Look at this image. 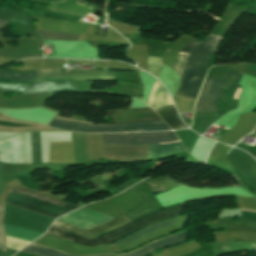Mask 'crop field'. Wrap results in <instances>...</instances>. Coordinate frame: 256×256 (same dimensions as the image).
Wrapping results in <instances>:
<instances>
[{
  "label": "crop field",
  "mask_w": 256,
  "mask_h": 256,
  "mask_svg": "<svg viewBox=\"0 0 256 256\" xmlns=\"http://www.w3.org/2000/svg\"><path fill=\"white\" fill-rule=\"evenodd\" d=\"M113 124L156 121L161 120L158 115L150 108L125 109L108 111ZM62 130L89 132V133H106V132H139V131H162L170 130L163 121L117 124V125H90L81 122L54 119L50 125Z\"/></svg>",
  "instance_id": "obj_1"
},
{
  "label": "crop field",
  "mask_w": 256,
  "mask_h": 256,
  "mask_svg": "<svg viewBox=\"0 0 256 256\" xmlns=\"http://www.w3.org/2000/svg\"><path fill=\"white\" fill-rule=\"evenodd\" d=\"M181 211L182 203L171 208H168L166 210L153 212L137 221H134L130 224L122 226L101 236H98L94 239H89L87 237L72 232H68L53 226H51V228L47 231V234L86 246L108 244L120 238H123L131 233H134L154 222H158L167 218L180 215Z\"/></svg>",
  "instance_id": "obj_2"
},
{
  "label": "crop field",
  "mask_w": 256,
  "mask_h": 256,
  "mask_svg": "<svg viewBox=\"0 0 256 256\" xmlns=\"http://www.w3.org/2000/svg\"><path fill=\"white\" fill-rule=\"evenodd\" d=\"M6 202L55 219L58 216L79 207L40 195L18 186H16L7 197Z\"/></svg>",
  "instance_id": "obj_3"
},
{
  "label": "crop field",
  "mask_w": 256,
  "mask_h": 256,
  "mask_svg": "<svg viewBox=\"0 0 256 256\" xmlns=\"http://www.w3.org/2000/svg\"><path fill=\"white\" fill-rule=\"evenodd\" d=\"M220 39V36L210 34L205 41L189 54L181 77V87L178 94L192 98L196 90L200 68L205 58L214 53Z\"/></svg>",
  "instance_id": "obj_4"
},
{
  "label": "crop field",
  "mask_w": 256,
  "mask_h": 256,
  "mask_svg": "<svg viewBox=\"0 0 256 256\" xmlns=\"http://www.w3.org/2000/svg\"><path fill=\"white\" fill-rule=\"evenodd\" d=\"M187 231H183L181 233H177L175 235H171L166 238L153 241L145 245L144 247L137 249L128 254H121V255L105 254V255H84V256H147L158 248L169 247V246H173L178 243L184 242L185 240H187ZM22 251L31 253V254L41 255V256H75V255H71L58 250L46 248L34 243L28 245L27 247L22 249Z\"/></svg>",
  "instance_id": "obj_5"
},
{
  "label": "crop field",
  "mask_w": 256,
  "mask_h": 256,
  "mask_svg": "<svg viewBox=\"0 0 256 256\" xmlns=\"http://www.w3.org/2000/svg\"><path fill=\"white\" fill-rule=\"evenodd\" d=\"M102 136L104 143L112 144H158L178 140L173 131L102 134Z\"/></svg>",
  "instance_id": "obj_6"
},
{
  "label": "crop field",
  "mask_w": 256,
  "mask_h": 256,
  "mask_svg": "<svg viewBox=\"0 0 256 256\" xmlns=\"http://www.w3.org/2000/svg\"><path fill=\"white\" fill-rule=\"evenodd\" d=\"M223 81L206 78L195 105L194 112L218 111L216 101L221 93Z\"/></svg>",
  "instance_id": "obj_7"
},
{
  "label": "crop field",
  "mask_w": 256,
  "mask_h": 256,
  "mask_svg": "<svg viewBox=\"0 0 256 256\" xmlns=\"http://www.w3.org/2000/svg\"><path fill=\"white\" fill-rule=\"evenodd\" d=\"M110 219L113 218L81 208L60 217L58 220L75 225L80 228L88 229Z\"/></svg>",
  "instance_id": "obj_8"
},
{
  "label": "crop field",
  "mask_w": 256,
  "mask_h": 256,
  "mask_svg": "<svg viewBox=\"0 0 256 256\" xmlns=\"http://www.w3.org/2000/svg\"><path fill=\"white\" fill-rule=\"evenodd\" d=\"M0 162L24 163L22 134L0 141Z\"/></svg>",
  "instance_id": "obj_9"
},
{
  "label": "crop field",
  "mask_w": 256,
  "mask_h": 256,
  "mask_svg": "<svg viewBox=\"0 0 256 256\" xmlns=\"http://www.w3.org/2000/svg\"><path fill=\"white\" fill-rule=\"evenodd\" d=\"M132 221L131 219H129L125 214L111 220L108 221L104 224H101L99 226H96L94 228H91L89 230H81L79 228H76L74 226L68 225L66 223L60 222L58 220H56V222L53 224V226L65 229V230H69L87 237H94L96 235H99L103 232L109 231L111 229H114L116 227H119L121 225H124L128 222Z\"/></svg>",
  "instance_id": "obj_10"
},
{
  "label": "crop field",
  "mask_w": 256,
  "mask_h": 256,
  "mask_svg": "<svg viewBox=\"0 0 256 256\" xmlns=\"http://www.w3.org/2000/svg\"><path fill=\"white\" fill-rule=\"evenodd\" d=\"M228 75V74H227ZM242 73L236 72L231 70L229 75L227 76L224 85H223V90H222V94H221V98H223L224 92L225 90H231V91H235L241 78H242ZM242 89H237L236 93L235 92H230V91H226L223 100H225L227 103H229L231 106H233L234 108L237 106V100H233L234 97V93H235V97L234 99L238 98V94L240 93Z\"/></svg>",
  "instance_id": "obj_11"
},
{
  "label": "crop field",
  "mask_w": 256,
  "mask_h": 256,
  "mask_svg": "<svg viewBox=\"0 0 256 256\" xmlns=\"http://www.w3.org/2000/svg\"><path fill=\"white\" fill-rule=\"evenodd\" d=\"M101 75H114V72L96 71V70H71L59 69L46 72H39L36 78L41 77H57V76H101Z\"/></svg>",
  "instance_id": "obj_12"
},
{
  "label": "crop field",
  "mask_w": 256,
  "mask_h": 256,
  "mask_svg": "<svg viewBox=\"0 0 256 256\" xmlns=\"http://www.w3.org/2000/svg\"><path fill=\"white\" fill-rule=\"evenodd\" d=\"M170 104H173V103L169 94L161 85V83L156 81L150 93L148 105L152 107L154 110H156L158 108H161Z\"/></svg>",
  "instance_id": "obj_13"
},
{
  "label": "crop field",
  "mask_w": 256,
  "mask_h": 256,
  "mask_svg": "<svg viewBox=\"0 0 256 256\" xmlns=\"http://www.w3.org/2000/svg\"><path fill=\"white\" fill-rule=\"evenodd\" d=\"M4 225L5 233L6 236H11V237H16L20 238L26 241H34L37 239L39 236H41L43 233L22 228V227H15V226H9V225Z\"/></svg>",
  "instance_id": "obj_14"
},
{
  "label": "crop field",
  "mask_w": 256,
  "mask_h": 256,
  "mask_svg": "<svg viewBox=\"0 0 256 256\" xmlns=\"http://www.w3.org/2000/svg\"><path fill=\"white\" fill-rule=\"evenodd\" d=\"M156 112L172 129L186 128L177 116L173 105L156 110Z\"/></svg>",
  "instance_id": "obj_15"
},
{
  "label": "crop field",
  "mask_w": 256,
  "mask_h": 256,
  "mask_svg": "<svg viewBox=\"0 0 256 256\" xmlns=\"http://www.w3.org/2000/svg\"><path fill=\"white\" fill-rule=\"evenodd\" d=\"M38 71L16 73L8 70H0V80L13 82H32Z\"/></svg>",
  "instance_id": "obj_16"
},
{
  "label": "crop field",
  "mask_w": 256,
  "mask_h": 256,
  "mask_svg": "<svg viewBox=\"0 0 256 256\" xmlns=\"http://www.w3.org/2000/svg\"><path fill=\"white\" fill-rule=\"evenodd\" d=\"M200 42L192 39L190 40L186 46L179 52L174 67L173 69L178 73L179 76H181L185 61L187 59L188 54L195 49V47L199 44Z\"/></svg>",
  "instance_id": "obj_17"
},
{
  "label": "crop field",
  "mask_w": 256,
  "mask_h": 256,
  "mask_svg": "<svg viewBox=\"0 0 256 256\" xmlns=\"http://www.w3.org/2000/svg\"><path fill=\"white\" fill-rule=\"evenodd\" d=\"M175 219H170V220H167V221H163L161 223H157V224H154V225L149 226L147 228H144V229L138 231L137 233H135V234H133V235H131L129 237H126V238H124V239H122V240H120V241H118L116 243H130V242H132V241H134V240H136V239H138V238H140V237H142V236H144V235H146V234H148L150 232H153L155 230H158L160 228L168 226Z\"/></svg>",
  "instance_id": "obj_18"
},
{
  "label": "crop field",
  "mask_w": 256,
  "mask_h": 256,
  "mask_svg": "<svg viewBox=\"0 0 256 256\" xmlns=\"http://www.w3.org/2000/svg\"><path fill=\"white\" fill-rule=\"evenodd\" d=\"M147 183L149 184V186L152 188L153 191H164L166 189H170L173 187H177L181 184L169 179L167 176L165 177H160L157 178L155 180H151V181H147Z\"/></svg>",
  "instance_id": "obj_19"
},
{
  "label": "crop field",
  "mask_w": 256,
  "mask_h": 256,
  "mask_svg": "<svg viewBox=\"0 0 256 256\" xmlns=\"http://www.w3.org/2000/svg\"><path fill=\"white\" fill-rule=\"evenodd\" d=\"M44 39H53V40H70L77 41L79 35L69 34V33H55V32H46V31H37Z\"/></svg>",
  "instance_id": "obj_20"
},
{
  "label": "crop field",
  "mask_w": 256,
  "mask_h": 256,
  "mask_svg": "<svg viewBox=\"0 0 256 256\" xmlns=\"http://www.w3.org/2000/svg\"><path fill=\"white\" fill-rule=\"evenodd\" d=\"M147 63H148L147 72L155 76H158L159 71L163 66L162 58L148 56Z\"/></svg>",
  "instance_id": "obj_21"
},
{
  "label": "crop field",
  "mask_w": 256,
  "mask_h": 256,
  "mask_svg": "<svg viewBox=\"0 0 256 256\" xmlns=\"http://www.w3.org/2000/svg\"><path fill=\"white\" fill-rule=\"evenodd\" d=\"M4 208H5V204L0 203V249L3 252H5L6 250V240H5V234L2 226Z\"/></svg>",
  "instance_id": "obj_22"
},
{
  "label": "crop field",
  "mask_w": 256,
  "mask_h": 256,
  "mask_svg": "<svg viewBox=\"0 0 256 256\" xmlns=\"http://www.w3.org/2000/svg\"><path fill=\"white\" fill-rule=\"evenodd\" d=\"M6 239H7V247L17 249V250L23 248L24 246H26L27 244L30 243V242L13 239V238H9V237H6Z\"/></svg>",
  "instance_id": "obj_23"
},
{
  "label": "crop field",
  "mask_w": 256,
  "mask_h": 256,
  "mask_svg": "<svg viewBox=\"0 0 256 256\" xmlns=\"http://www.w3.org/2000/svg\"><path fill=\"white\" fill-rule=\"evenodd\" d=\"M243 211L256 213V212H254V211H247V210H243ZM245 212H242L241 219L256 221V214H253V213H245Z\"/></svg>",
  "instance_id": "obj_24"
},
{
  "label": "crop field",
  "mask_w": 256,
  "mask_h": 256,
  "mask_svg": "<svg viewBox=\"0 0 256 256\" xmlns=\"http://www.w3.org/2000/svg\"><path fill=\"white\" fill-rule=\"evenodd\" d=\"M10 22H7V21H5V20H3V19H0V30L1 29H4V27L7 25V24H9Z\"/></svg>",
  "instance_id": "obj_25"
}]
</instances>
